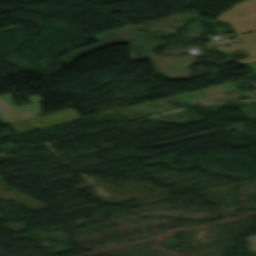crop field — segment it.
<instances>
[{
	"label": "crop field",
	"mask_w": 256,
	"mask_h": 256,
	"mask_svg": "<svg viewBox=\"0 0 256 256\" xmlns=\"http://www.w3.org/2000/svg\"><path fill=\"white\" fill-rule=\"evenodd\" d=\"M93 37L98 41V43L93 44L87 48H77L74 49L65 55H63L58 60L63 63L69 64L78 56L95 50L97 48L112 44V43H122V42H144L151 40L148 35L143 32H139L138 30L132 29L131 27L114 30L110 32L100 33L93 35Z\"/></svg>",
	"instance_id": "obj_1"
},
{
	"label": "crop field",
	"mask_w": 256,
	"mask_h": 256,
	"mask_svg": "<svg viewBox=\"0 0 256 256\" xmlns=\"http://www.w3.org/2000/svg\"><path fill=\"white\" fill-rule=\"evenodd\" d=\"M215 19L231 24L235 34L256 30V0H245Z\"/></svg>",
	"instance_id": "obj_2"
},
{
	"label": "crop field",
	"mask_w": 256,
	"mask_h": 256,
	"mask_svg": "<svg viewBox=\"0 0 256 256\" xmlns=\"http://www.w3.org/2000/svg\"><path fill=\"white\" fill-rule=\"evenodd\" d=\"M158 74L167 79L193 77L191 65L197 63L193 56H166L151 58Z\"/></svg>",
	"instance_id": "obj_3"
},
{
	"label": "crop field",
	"mask_w": 256,
	"mask_h": 256,
	"mask_svg": "<svg viewBox=\"0 0 256 256\" xmlns=\"http://www.w3.org/2000/svg\"><path fill=\"white\" fill-rule=\"evenodd\" d=\"M242 44L235 45L233 47H226L224 45L216 47L220 52L228 54L238 49L244 48L248 51L250 58L236 61L239 64H248L256 62V32L239 36Z\"/></svg>",
	"instance_id": "obj_4"
},
{
	"label": "crop field",
	"mask_w": 256,
	"mask_h": 256,
	"mask_svg": "<svg viewBox=\"0 0 256 256\" xmlns=\"http://www.w3.org/2000/svg\"><path fill=\"white\" fill-rule=\"evenodd\" d=\"M166 42L162 40H155L147 43L130 44L131 59H139L153 56L152 50Z\"/></svg>",
	"instance_id": "obj_5"
},
{
	"label": "crop field",
	"mask_w": 256,
	"mask_h": 256,
	"mask_svg": "<svg viewBox=\"0 0 256 256\" xmlns=\"http://www.w3.org/2000/svg\"><path fill=\"white\" fill-rule=\"evenodd\" d=\"M240 126H243V125L236 124V125H232V126H228V127H224V128H220V129H216V130H212V131H208V132H204V133H200V134H196V135H192V136H188V137H184V138H180V139H176V140H172V141H168V142H164V143H160V144H156V145H152V146L158 147V146H162V145H166V144H170V143H175V142H179V141H183V140H187V139H192V138H196V137H200V136H204V135H209V134L229 130V129L240 127Z\"/></svg>",
	"instance_id": "obj_6"
}]
</instances>
